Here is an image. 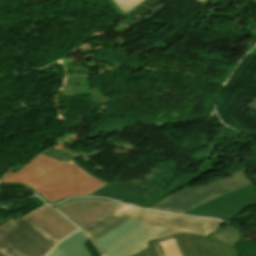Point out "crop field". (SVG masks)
<instances>
[{
  "instance_id": "obj_4",
  "label": "crop field",
  "mask_w": 256,
  "mask_h": 256,
  "mask_svg": "<svg viewBox=\"0 0 256 256\" xmlns=\"http://www.w3.org/2000/svg\"><path fill=\"white\" fill-rule=\"evenodd\" d=\"M57 243L25 215L0 226V256H45Z\"/></svg>"
},
{
  "instance_id": "obj_10",
  "label": "crop field",
  "mask_w": 256,
  "mask_h": 256,
  "mask_svg": "<svg viewBox=\"0 0 256 256\" xmlns=\"http://www.w3.org/2000/svg\"><path fill=\"white\" fill-rule=\"evenodd\" d=\"M87 237L78 231L69 238L63 240L51 252L49 256H91L85 247Z\"/></svg>"
},
{
  "instance_id": "obj_9",
  "label": "crop field",
  "mask_w": 256,
  "mask_h": 256,
  "mask_svg": "<svg viewBox=\"0 0 256 256\" xmlns=\"http://www.w3.org/2000/svg\"><path fill=\"white\" fill-rule=\"evenodd\" d=\"M25 215L36 222L58 241L78 230L65 217L47 204H44Z\"/></svg>"
},
{
  "instance_id": "obj_15",
  "label": "crop field",
  "mask_w": 256,
  "mask_h": 256,
  "mask_svg": "<svg viewBox=\"0 0 256 256\" xmlns=\"http://www.w3.org/2000/svg\"><path fill=\"white\" fill-rule=\"evenodd\" d=\"M249 104V103H248ZM248 108L256 111V100H254L253 102H251L249 105H247Z\"/></svg>"
},
{
  "instance_id": "obj_11",
  "label": "crop field",
  "mask_w": 256,
  "mask_h": 256,
  "mask_svg": "<svg viewBox=\"0 0 256 256\" xmlns=\"http://www.w3.org/2000/svg\"><path fill=\"white\" fill-rule=\"evenodd\" d=\"M126 204H121L120 206H118L116 209H114L113 211L109 212L108 214L102 216L101 218L97 219L96 221L92 222L91 224H89L87 227H85L84 229H82V231L85 233L88 230H90L91 228H93L94 226H96L97 224H99L100 222L104 221L105 219H107L108 217H110L111 215H113L114 213H116L117 211H119L121 208H123Z\"/></svg>"
},
{
  "instance_id": "obj_5",
  "label": "crop field",
  "mask_w": 256,
  "mask_h": 256,
  "mask_svg": "<svg viewBox=\"0 0 256 256\" xmlns=\"http://www.w3.org/2000/svg\"><path fill=\"white\" fill-rule=\"evenodd\" d=\"M250 182L251 180L245 171H242L203 187L175 192L167 199H163L151 207V209L182 213Z\"/></svg>"
},
{
  "instance_id": "obj_12",
  "label": "crop field",
  "mask_w": 256,
  "mask_h": 256,
  "mask_svg": "<svg viewBox=\"0 0 256 256\" xmlns=\"http://www.w3.org/2000/svg\"><path fill=\"white\" fill-rule=\"evenodd\" d=\"M140 0H115L118 7L124 12H128L133 8Z\"/></svg>"
},
{
  "instance_id": "obj_17",
  "label": "crop field",
  "mask_w": 256,
  "mask_h": 256,
  "mask_svg": "<svg viewBox=\"0 0 256 256\" xmlns=\"http://www.w3.org/2000/svg\"><path fill=\"white\" fill-rule=\"evenodd\" d=\"M200 3L203 1V0H198Z\"/></svg>"
},
{
  "instance_id": "obj_6",
  "label": "crop field",
  "mask_w": 256,
  "mask_h": 256,
  "mask_svg": "<svg viewBox=\"0 0 256 256\" xmlns=\"http://www.w3.org/2000/svg\"><path fill=\"white\" fill-rule=\"evenodd\" d=\"M256 206V188L252 183L212 199L183 214L234 220L245 208Z\"/></svg>"
},
{
  "instance_id": "obj_1",
  "label": "crop field",
  "mask_w": 256,
  "mask_h": 256,
  "mask_svg": "<svg viewBox=\"0 0 256 256\" xmlns=\"http://www.w3.org/2000/svg\"><path fill=\"white\" fill-rule=\"evenodd\" d=\"M0 183L25 185L50 204L70 196H90L109 184L74 159L64 163L42 155L15 174L8 172Z\"/></svg>"
},
{
  "instance_id": "obj_7",
  "label": "crop field",
  "mask_w": 256,
  "mask_h": 256,
  "mask_svg": "<svg viewBox=\"0 0 256 256\" xmlns=\"http://www.w3.org/2000/svg\"><path fill=\"white\" fill-rule=\"evenodd\" d=\"M119 204L108 200L74 199L63 202L56 208L81 229Z\"/></svg>"
},
{
  "instance_id": "obj_16",
  "label": "crop field",
  "mask_w": 256,
  "mask_h": 256,
  "mask_svg": "<svg viewBox=\"0 0 256 256\" xmlns=\"http://www.w3.org/2000/svg\"><path fill=\"white\" fill-rule=\"evenodd\" d=\"M209 0H204L201 4L206 7Z\"/></svg>"
},
{
  "instance_id": "obj_8",
  "label": "crop field",
  "mask_w": 256,
  "mask_h": 256,
  "mask_svg": "<svg viewBox=\"0 0 256 256\" xmlns=\"http://www.w3.org/2000/svg\"><path fill=\"white\" fill-rule=\"evenodd\" d=\"M118 213L143 219L146 221L154 222L171 228H175L182 231L199 233L208 235L209 230L205 229L207 225L201 223L199 220L180 215H171L159 212L148 211L144 209H139L131 206H126Z\"/></svg>"
},
{
  "instance_id": "obj_2",
  "label": "crop field",
  "mask_w": 256,
  "mask_h": 256,
  "mask_svg": "<svg viewBox=\"0 0 256 256\" xmlns=\"http://www.w3.org/2000/svg\"><path fill=\"white\" fill-rule=\"evenodd\" d=\"M178 232L182 231L116 213L85 234L102 256H128L145 248L147 240Z\"/></svg>"
},
{
  "instance_id": "obj_3",
  "label": "crop field",
  "mask_w": 256,
  "mask_h": 256,
  "mask_svg": "<svg viewBox=\"0 0 256 256\" xmlns=\"http://www.w3.org/2000/svg\"><path fill=\"white\" fill-rule=\"evenodd\" d=\"M176 168L175 162H164L158 166L145 187L115 181L92 196H105L150 208L171 191L201 177L203 174V171L199 170L192 175H184L180 177L178 183L166 191L167 186L172 182L177 172Z\"/></svg>"
},
{
  "instance_id": "obj_14",
  "label": "crop field",
  "mask_w": 256,
  "mask_h": 256,
  "mask_svg": "<svg viewBox=\"0 0 256 256\" xmlns=\"http://www.w3.org/2000/svg\"><path fill=\"white\" fill-rule=\"evenodd\" d=\"M112 6V9L119 15L129 16L133 11H135L141 4H143L146 0H142L139 2L133 9H131L128 13L124 14L115 4L114 0H109Z\"/></svg>"
},
{
  "instance_id": "obj_13",
  "label": "crop field",
  "mask_w": 256,
  "mask_h": 256,
  "mask_svg": "<svg viewBox=\"0 0 256 256\" xmlns=\"http://www.w3.org/2000/svg\"><path fill=\"white\" fill-rule=\"evenodd\" d=\"M201 222L207 224V229L212 230V232H214L215 230H217V228H219V226L221 224H223V222H220L218 220H214V219H200Z\"/></svg>"
}]
</instances>
